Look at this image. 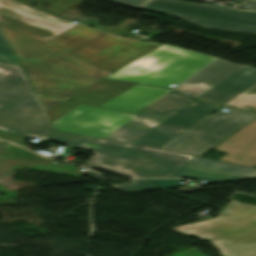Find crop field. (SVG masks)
<instances>
[{
  "instance_id": "8a807250",
  "label": "crop field",
  "mask_w": 256,
  "mask_h": 256,
  "mask_svg": "<svg viewBox=\"0 0 256 256\" xmlns=\"http://www.w3.org/2000/svg\"><path fill=\"white\" fill-rule=\"evenodd\" d=\"M0 28L46 112L162 45L61 22L8 0H0Z\"/></svg>"
},
{
  "instance_id": "ac0d7876",
  "label": "crop field",
  "mask_w": 256,
  "mask_h": 256,
  "mask_svg": "<svg viewBox=\"0 0 256 256\" xmlns=\"http://www.w3.org/2000/svg\"><path fill=\"white\" fill-rule=\"evenodd\" d=\"M32 88V87H31ZM20 67L0 63V129L86 148L96 154L87 167L132 178L170 177L193 156L55 131Z\"/></svg>"
},
{
  "instance_id": "34b2d1b8",
  "label": "crop field",
  "mask_w": 256,
  "mask_h": 256,
  "mask_svg": "<svg viewBox=\"0 0 256 256\" xmlns=\"http://www.w3.org/2000/svg\"><path fill=\"white\" fill-rule=\"evenodd\" d=\"M214 59L164 44L108 78L167 87L181 83Z\"/></svg>"
},
{
  "instance_id": "412701ff",
  "label": "crop field",
  "mask_w": 256,
  "mask_h": 256,
  "mask_svg": "<svg viewBox=\"0 0 256 256\" xmlns=\"http://www.w3.org/2000/svg\"><path fill=\"white\" fill-rule=\"evenodd\" d=\"M223 108L231 112L209 114L160 149L202 157L256 117V113Z\"/></svg>"
},
{
  "instance_id": "f4fd0767",
  "label": "crop field",
  "mask_w": 256,
  "mask_h": 256,
  "mask_svg": "<svg viewBox=\"0 0 256 256\" xmlns=\"http://www.w3.org/2000/svg\"><path fill=\"white\" fill-rule=\"evenodd\" d=\"M143 8L184 18L206 28L256 34V12L176 0H152Z\"/></svg>"
},
{
  "instance_id": "dd49c442",
  "label": "crop field",
  "mask_w": 256,
  "mask_h": 256,
  "mask_svg": "<svg viewBox=\"0 0 256 256\" xmlns=\"http://www.w3.org/2000/svg\"><path fill=\"white\" fill-rule=\"evenodd\" d=\"M134 116L80 104L53 125L56 130L104 138Z\"/></svg>"
},
{
  "instance_id": "e52e79f7",
  "label": "crop field",
  "mask_w": 256,
  "mask_h": 256,
  "mask_svg": "<svg viewBox=\"0 0 256 256\" xmlns=\"http://www.w3.org/2000/svg\"><path fill=\"white\" fill-rule=\"evenodd\" d=\"M253 226H256V206L231 200L216 218L174 230L195 238L209 240Z\"/></svg>"
},
{
  "instance_id": "d8731c3e",
  "label": "crop field",
  "mask_w": 256,
  "mask_h": 256,
  "mask_svg": "<svg viewBox=\"0 0 256 256\" xmlns=\"http://www.w3.org/2000/svg\"><path fill=\"white\" fill-rule=\"evenodd\" d=\"M218 107H220V105L196 101L160 126L133 142V144L158 149L177 134L187 129Z\"/></svg>"
},
{
  "instance_id": "5a996713",
  "label": "crop field",
  "mask_w": 256,
  "mask_h": 256,
  "mask_svg": "<svg viewBox=\"0 0 256 256\" xmlns=\"http://www.w3.org/2000/svg\"><path fill=\"white\" fill-rule=\"evenodd\" d=\"M172 177H190L210 183L256 178V168L195 157Z\"/></svg>"
},
{
  "instance_id": "3316defc",
  "label": "crop field",
  "mask_w": 256,
  "mask_h": 256,
  "mask_svg": "<svg viewBox=\"0 0 256 256\" xmlns=\"http://www.w3.org/2000/svg\"><path fill=\"white\" fill-rule=\"evenodd\" d=\"M244 66L219 59L179 85L173 92L184 97L197 99L202 96L196 93L197 91L204 93L210 91Z\"/></svg>"
},
{
  "instance_id": "28ad6ade",
  "label": "crop field",
  "mask_w": 256,
  "mask_h": 256,
  "mask_svg": "<svg viewBox=\"0 0 256 256\" xmlns=\"http://www.w3.org/2000/svg\"><path fill=\"white\" fill-rule=\"evenodd\" d=\"M214 150L227 154L221 161L256 166V118Z\"/></svg>"
},
{
  "instance_id": "d1516ede",
  "label": "crop field",
  "mask_w": 256,
  "mask_h": 256,
  "mask_svg": "<svg viewBox=\"0 0 256 256\" xmlns=\"http://www.w3.org/2000/svg\"><path fill=\"white\" fill-rule=\"evenodd\" d=\"M176 113H161L146 108L139 115L107 136L106 139L131 143Z\"/></svg>"
},
{
  "instance_id": "22f410ed",
  "label": "crop field",
  "mask_w": 256,
  "mask_h": 256,
  "mask_svg": "<svg viewBox=\"0 0 256 256\" xmlns=\"http://www.w3.org/2000/svg\"><path fill=\"white\" fill-rule=\"evenodd\" d=\"M169 92V89L136 85L101 107L135 113Z\"/></svg>"
},
{
  "instance_id": "cbeb9de0",
  "label": "crop field",
  "mask_w": 256,
  "mask_h": 256,
  "mask_svg": "<svg viewBox=\"0 0 256 256\" xmlns=\"http://www.w3.org/2000/svg\"><path fill=\"white\" fill-rule=\"evenodd\" d=\"M256 83V70L246 66L199 100L224 104Z\"/></svg>"
},
{
  "instance_id": "5142ce71",
  "label": "crop field",
  "mask_w": 256,
  "mask_h": 256,
  "mask_svg": "<svg viewBox=\"0 0 256 256\" xmlns=\"http://www.w3.org/2000/svg\"><path fill=\"white\" fill-rule=\"evenodd\" d=\"M220 256H256V227L209 240Z\"/></svg>"
},
{
  "instance_id": "d9b57169",
  "label": "crop field",
  "mask_w": 256,
  "mask_h": 256,
  "mask_svg": "<svg viewBox=\"0 0 256 256\" xmlns=\"http://www.w3.org/2000/svg\"><path fill=\"white\" fill-rule=\"evenodd\" d=\"M137 83L103 79L69 100L99 106Z\"/></svg>"
},
{
  "instance_id": "733c2abd",
  "label": "crop field",
  "mask_w": 256,
  "mask_h": 256,
  "mask_svg": "<svg viewBox=\"0 0 256 256\" xmlns=\"http://www.w3.org/2000/svg\"><path fill=\"white\" fill-rule=\"evenodd\" d=\"M181 181L177 179L136 180L129 184H115L113 187L125 192H134L175 187Z\"/></svg>"
},
{
  "instance_id": "4a817a6b",
  "label": "crop field",
  "mask_w": 256,
  "mask_h": 256,
  "mask_svg": "<svg viewBox=\"0 0 256 256\" xmlns=\"http://www.w3.org/2000/svg\"><path fill=\"white\" fill-rule=\"evenodd\" d=\"M193 100L186 99L184 97L168 93L157 102L152 104L150 108H155L159 111H172V110H180L188 103Z\"/></svg>"
},
{
  "instance_id": "bc2a9ffb",
  "label": "crop field",
  "mask_w": 256,
  "mask_h": 256,
  "mask_svg": "<svg viewBox=\"0 0 256 256\" xmlns=\"http://www.w3.org/2000/svg\"><path fill=\"white\" fill-rule=\"evenodd\" d=\"M224 105L234 106L237 109L256 111V84Z\"/></svg>"
},
{
  "instance_id": "214f88e0",
  "label": "crop field",
  "mask_w": 256,
  "mask_h": 256,
  "mask_svg": "<svg viewBox=\"0 0 256 256\" xmlns=\"http://www.w3.org/2000/svg\"><path fill=\"white\" fill-rule=\"evenodd\" d=\"M77 105H79V103L67 100V101L57 105L55 108H53L52 110H50L47 113L53 123L54 121L59 119L61 116H63L64 114H66L67 112H69L70 110L75 108Z\"/></svg>"
},
{
  "instance_id": "92a150f3",
  "label": "crop field",
  "mask_w": 256,
  "mask_h": 256,
  "mask_svg": "<svg viewBox=\"0 0 256 256\" xmlns=\"http://www.w3.org/2000/svg\"><path fill=\"white\" fill-rule=\"evenodd\" d=\"M0 61L9 62V63L19 65L9 44L5 40L1 30H0Z\"/></svg>"
},
{
  "instance_id": "dafd665d",
  "label": "crop field",
  "mask_w": 256,
  "mask_h": 256,
  "mask_svg": "<svg viewBox=\"0 0 256 256\" xmlns=\"http://www.w3.org/2000/svg\"><path fill=\"white\" fill-rule=\"evenodd\" d=\"M150 0H121L119 3L135 6L142 8L144 5H146Z\"/></svg>"
},
{
  "instance_id": "00972430",
  "label": "crop field",
  "mask_w": 256,
  "mask_h": 256,
  "mask_svg": "<svg viewBox=\"0 0 256 256\" xmlns=\"http://www.w3.org/2000/svg\"><path fill=\"white\" fill-rule=\"evenodd\" d=\"M178 190L180 191V193H184V192L200 191L202 189L199 186H195V187L181 188Z\"/></svg>"
},
{
  "instance_id": "a9b5d70f",
  "label": "crop field",
  "mask_w": 256,
  "mask_h": 256,
  "mask_svg": "<svg viewBox=\"0 0 256 256\" xmlns=\"http://www.w3.org/2000/svg\"><path fill=\"white\" fill-rule=\"evenodd\" d=\"M250 5L249 10H256V0H246Z\"/></svg>"
},
{
  "instance_id": "4177f3b9",
  "label": "crop field",
  "mask_w": 256,
  "mask_h": 256,
  "mask_svg": "<svg viewBox=\"0 0 256 256\" xmlns=\"http://www.w3.org/2000/svg\"><path fill=\"white\" fill-rule=\"evenodd\" d=\"M110 1H115V2H119L120 0H110Z\"/></svg>"
},
{
  "instance_id": "730fd06b",
  "label": "crop field",
  "mask_w": 256,
  "mask_h": 256,
  "mask_svg": "<svg viewBox=\"0 0 256 256\" xmlns=\"http://www.w3.org/2000/svg\"><path fill=\"white\" fill-rule=\"evenodd\" d=\"M238 1H240V0H238Z\"/></svg>"
}]
</instances>
